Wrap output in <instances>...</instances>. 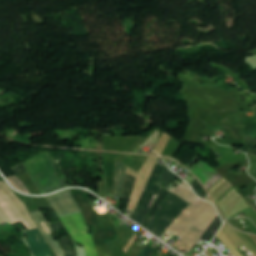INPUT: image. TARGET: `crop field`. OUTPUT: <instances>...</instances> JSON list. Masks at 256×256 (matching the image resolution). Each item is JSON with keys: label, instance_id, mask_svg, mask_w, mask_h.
<instances>
[{"label": "crop field", "instance_id": "crop-field-1", "mask_svg": "<svg viewBox=\"0 0 256 256\" xmlns=\"http://www.w3.org/2000/svg\"><path fill=\"white\" fill-rule=\"evenodd\" d=\"M171 192L191 202L182 214L167 229L181 238L174 244L182 250H191L204 233L219 218L213 205L197 198L187 183H182ZM221 225L220 219L205 233L201 240L210 242Z\"/></svg>", "mask_w": 256, "mask_h": 256}, {"label": "crop field", "instance_id": "crop-field-2", "mask_svg": "<svg viewBox=\"0 0 256 256\" xmlns=\"http://www.w3.org/2000/svg\"><path fill=\"white\" fill-rule=\"evenodd\" d=\"M0 210L11 224L22 222L28 230L36 228L26 206L4 182H0ZM25 232L34 256H54L38 228Z\"/></svg>", "mask_w": 256, "mask_h": 256}, {"label": "crop field", "instance_id": "crop-field-3", "mask_svg": "<svg viewBox=\"0 0 256 256\" xmlns=\"http://www.w3.org/2000/svg\"><path fill=\"white\" fill-rule=\"evenodd\" d=\"M47 199L58 215L80 209L78 204L73 199L70 190H65L55 195L47 196ZM60 218L73 239L90 235L88 226L85 223L80 210L60 215Z\"/></svg>", "mask_w": 256, "mask_h": 256}, {"label": "crop field", "instance_id": "crop-field-4", "mask_svg": "<svg viewBox=\"0 0 256 256\" xmlns=\"http://www.w3.org/2000/svg\"><path fill=\"white\" fill-rule=\"evenodd\" d=\"M24 164L42 194L68 187L65 179L56 177V164L48 153L29 159Z\"/></svg>", "mask_w": 256, "mask_h": 256}, {"label": "crop field", "instance_id": "crop-field-5", "mask_svg": "<svg viewBox=\"0 0 256 256\" xmlns=\"http://www.w3.org/2000/svg\"><path fill=\"white\" fill-rule=\"evenodd\" d=\"M178 197L170 192L159 211L147 226V229L156 234L158 237L189 205L188 202L180 199L181 197Z\"/></svg>", "mask_w": 256, "mask_h": 256}, {"label": "crop field", "instance_id": "crop-field-6", "mask_svg": "<svg viewBox=\"0 0 256 256\" xmlns=\"http://www.w3.org/2000/svg\"><path fill=\"white\" fill-rule=\"evenodd\" d=\"M165 165L160 166L156 165L139 201L138 204L131 216V219L135 220L140 225L142 224L145 216L149 212L157 194L161 190L162 187L156 185V181L165 169Z\"/></svg>", "mask_w": 256, "mask_h": 256}, {"label": "crop field", "instance_id": "crop-field-7", "mask_svg": "<svg viewBox=\"0 0 256 256\" xmlns=\"http://www.w3.org/2000/svg\"><path fill=\"white\" fill-rule=\"evenodd\" d=\"M30 213H31L33 219L35 220V222L37 223L39 229L41 230L43 236L51 235V234H52V231H51V229H50V227H49V225H48L46 219L44 218V216H43L41 210L32 211V212H30ZM41 223H44V224H45V226L48 228V230L50 231L51 234H47V233H49V231L46 229V227H45L44 224H43L44 228H45L46 231H47V233H46V231H45V229L43 228V226H42ZM46 239H47L48 242L51 244V246H52V248L54 249V251L56 252L57 256H64V254H63L61 248L59 247L58 243L55 242L51 236L46 237Z\"/></svg>", "mask_w": 256, "mask_h": 256}, {"label": "crop field", "instance_id": "crop-field-8", "mask_svg": "<svg viewBox=\"0 0 256 256\" xmlns=\"http://www.w3.org/2000/svg\"><path fill=\"white\" fill-rule=\"evenodd\" d=\"M125 168L126 166L116 161L115 168V196L120 198L121 190L125 178Z\"/></svg>", "mask_w": 256, "mask_h": 256}, {"label": "crop field", "instance_id": "crop-field-9", "mask_svg": "<svg viewBox=\"0 0 256 256\" xmlns=\"http://www.w3.org/2000/svg\"><path fill=\"white\" fill-rule=\"evenodd\" d=\"M169 194V191L165 190L162 188L159 196L157 197L151 211L149 212L148 216L146 217L144 223L141 225L143 227L146 228V226L148 225V223L150 222V220L153 218V216L155 215L156 211L158 210V208L160 207V205L162 204V202L164 201V199L166 198V196Z\"/></svg>", "mask_w": 256, "mask_h": 256}, {"label": "crop field", "instance_id": "crop-field-10", "mask_svg": "<svg viewBox=\"0 0 256 256\" xmlns=\"http://www.w3.org/2000/svg\"><path fill=\"white\" fill-rule=\"evenodd\" d=\"M135 178V176L127 174L123 190V198H130Z\"/></svg>", "mask_w": 256, "mask_h": 256}, {"label": "crop field", "instance_id": "crop-field-11", "mask_svg": "<svg viewBox=\"0 0 256 256\" xmlns=\"http://www.w3.org/2000/svg\"><path fill=\"white\" fill-rule=\"evenodd\" d=\"M59 242H60L66 256H76L75 251L73 249V246H72L68 236L62 237ZM68 246L71 247V249L68 250L67 249Z\"/></svg>", "mask_w": 256, "mask_h": 256}, {"label": "crop field", "instance_id": "crop-field-12", "mask_svg": "<svg viewBox=\"0 0 256 256\" xmlns=\"http://www.w3.org/2000/svg\"><path fill=\"white\" fill-rule=\"evenodd\" d=\"M175 174H173L172 172H170L167 167L166 169L164 170V172L162 173V175L160 176L159 180H158V184L163 181L165 183H167L165 185V188H167L169 186V184L174 180L175 178Z\"/></svg>", "mask_w": 256, "mask_h": 256}, {"label": "crop field", "instance_id": "crop-field-13", "mask_svg": "<svg viewBox=\"0 0 256 256\" xmlns=\"http://www.w3.org/2000/svg\"><path fill=\"white\" fill-rule=\"evenodd\" d=\"M193 189L194 192L202 199H204L205 197H207L208 195L206 194L205 190L203 189V187L199 184V182L195 179L191 184H190Z\"/></svg>", "mask_w": 256, "mask_h": 256}, {"label": "crop field", "instance_id": "crop-field-14", "mask_svg": "<svg viewBox=\"0 0 256 256\" xmlns=\"http://www.w3.org/2000/svg\"><path fill=\"white\" fill-rule=\"evenodd\" d=\"M7 180L10 182L12 186L19 189L21 192L28 193L25 187L20 183V181L16 178V176L8 177Z\"/></svg>", "mask_w": 256, "mask_h": 256}, {"label": "crop field", "instance_id": "crop-field-15", "mask_svg": "<svg viewBox=\"0 0 256 256\" xmlns=\"http://www.w3.org/2000/svg\"><path fill=\"white\" fill-rule=\"evenodd\" d=\"M48 209H49L50 213L52 214L53 218L57 221V222L54 223L53 225H50L51 229H52L54 232L64 229L63 226L61 225V223L59 222V220L57 219L55 213L53 212V210L51 209L50 206H49Z\"/></svg>", "mask_w": 256, "mask_h": 256}, {"label": "crop field", "instance_id": "crop-field-16", "mask_svg": "<svg viewBox=\"0 0 256 256\" xmlns=\"http://www.w3.org/2000/svg\"><path fill=\"white\" fill-rule=\"evenodd\" d=\"M245 143L248 146V152L256 155V149L252 148V136H245Z\"/></svg>", "mask_w": 256, "mask_h": 256}, {"label": "crop field", "instance_id": "crop-field-17", "mask_svg": "<svg viewBox=\"0 0 256 256\" xmlns=\"http://www.w3.org/2000/svg\"><path fill=\"white\" fill-rule=\"evenodd\" d=\"M155 250L147 247L145 245V247L142 249V251L140 252V254L138 256H152L154 254Z\"/></svg>", "mask_w": 256, "mask_h": 256}, {"label": "crop field", "instance_id": "crop-field-18", "mask_svg": "<svg viewBox=\"0 0 256 256\" xmlns=\"http://www.w3.org/2000/svg\"><path fill=\"white\" fill-rule=\"evenodd\" d=\"M12 169H13V171H14L15 175H17V174H20V173H23V172H26V171H27V170H26V168H25V166L23 165V163L19 164L17 167L12 168Z\"/></svg>", "mask_w": 256, "mask_h": 256}, {"label": "crop field", "instance_id": "crop-field-19", "mask_svg": "<svg viewBox=\"0 0 256 256\" xmlns=\"http://www.w3.org/2000/svg\"><path fill=\"white\" fill-rule=\"evenodd\" d=\"M72 243L74 246H76L75 250L77 253V256H86L84 248H80L72 239H71Z\"/></svg>", "mask_w": 256, "mask_h": 256}, {"label": "crop field", "instance_id": "crop-field-20", "mask_svg": "<svg viewBox=\"0 0 256 256\" xmlns=\"http://www.w3.org/2000/svg\"><path fill=\"white\" fill-rule=\"evenodd\" d=\"M6 220L4 219V217L1 215L0 213V222H5Z\"/></svg>", "mask_w": 256, "mask_h": 256}]
</instances>
